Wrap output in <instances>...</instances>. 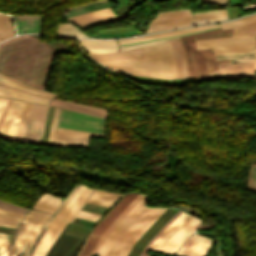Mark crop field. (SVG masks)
Listing matches in <instances>:
<instances>
[{
	"label": "crop field",
	"mask_w": 256,
	"mask_h": 256,
	"mask_svg": "<svg viewBox=\"0 0 256 256\" xmlns=\"http://www.w3.org/2000/svg\"><path fill=\"white\" fill-rule=\"evenodd\" d=\"M3 73L12 75L30 86L43 89L55 53L48 44L28 35L7 40Z\"/></svg>",
	"instance_id": "crop-field-1"
},
{
	"label": "crop field",
	"mask_w": 256,
	"mask_h": 256,
	"mask_svg": "<svg viewBox=\"0 0 256 256\" xmlns=\"http://www.w3.org/2000/svg\"><path fill=\"white\" fill-rule=\"evenodd\" d=\"M147 197L126 215L114 228L100 247L99 256H126L131 246L150 227V225L166 210L147 208L144 206Z\"/></svg>",
	"instance_id": "crop-field-2"
},
{
	"label": "crop field",
	"mask_w": 256,
	"mask_h": 256,
	"mask_svg": "<svg viewBox=\"0 0 256 256\" xmlns=\"http://www.w3.org/2000/svg\"><path fill=\"white\" fill-rule=\"evenodd\" d=\"M143 50L145 59L110 60L101 62L118 73L163 79L175 78V69L168 42L145 47Z\"/></svg>",
	"instance_id": "crop-field-3"
},
{
	"label": "crop field",
	"mask_w": 256,
	"mask_h": 256,
	"mask_svg": "<svg viewBox=\"0 0 256 256\" xmlns=\"http://www.w3.org/2000/svg\"><path fill=\"white\" fill-rule=\"evenodd\" d=\"M231 29L214 30L196 35L180 37L184 51L188 76L191 79H200L218 70L212 49L195 50L193 40L211 39L218 37L231 36Z\"/></svg>",
	"instance_id": "crop-field-4"
},
{
	"label": "crop field",
	"mask_w": 256,
	"mask_h": 256,
	"mask_svg": "<svg viewBox=\"0 0 256 256\" xmlns=\"http://www.w3.org/2000/svg\"><path fill=\"white\" fill-rule=\"evenodd\" d=\"M199 223V220L181 211L172 223L150 244L148 249L173 254Z\"/></svg>",
	"instance_id": "crop-field-5"
},
{
	"label": "crop field",
	"mask_w": 256,
	"mask_h": 256,
	"mask_svg": "<svg viewBox=\"0 0 256 256\" xmlns=\"http://www.w3.org/2000/svg\"><path fill=\"white\" fill-rule=\"evenodd\" d=\"M50 214L42 213L36 210H30L28 214L23 218L22 222L26 223L22 230L17 235L14 244L12 246L11 256H24L27 255L28 249L35 240L38 232L43 224L49 218Z\"/></svg>",
	"instance_id": "crop-field-6"
},
{
	"label": "crop field",
	"mask_w": 256,
	"mask_h": 256,
	"mask_svg": "<svg viewBox=\"0 0 256 256\" xmlns=\"http://www.w3.org/2000/svg\"><path fill=\"white\" fill-rule=\"evenodd\" d=\"M220 24L221 25L215 24V25H209V26L193 27V28H188V29H183V30H178V31L165 32V33L147 35V36L132 38V39H128V40H118V41H119V44H121V43L151 39V38H156V37L186 33V32L202 30V29L218 27V26H221L222 29L234 27L232 36H256V14L246 17V18L239 19V20H235V21H231V22H224V23H220Z\"/></svg>",
	"instance_id": "crop-field-7"
},
{
	"label": "crop field",
	"mask_w": 256,
	"mask_h": 256,
	"mask_svg": "<svg viewBox=\"0 0 256 256\" xmlns=\"http://www.w3.org/2000/svg\"><path fill=\"white\" fill-rule=\"evenodd\" d=\"M196 49L213 48L215 54L247 52L254 48V37H226L194 41Z\"/></svg>",
	"instance_id": "crop-field-8"
},
{
	"label": "crop field",
	"mask_w": 256,
	"mask_h": 256,
	"mask_svg": "<svg viewBox=\"0 0 256 256\" xmlns=\"http://www.w3.org/2000/svg\"><path fill=\"white\" fill-rule=\"evenodd\" d=\"M47 108L45 105L30 104L20 141L40 144Z\"/></svg>",
	"instance_id": "crop-field-9"
},
{
	"label": "crop field",
	"mask_w": 256,
	"mask_h": 256,
	"mask_svg": "<svg viewBox=\"0 0 256 256\" xmlns=\"http://www.w3.org/2000/svg\"><path fill=\"white\" fill-rule=\"evenodd\" d=\"M104 121L103 118L62 108L58 126L103 133Z\"/></svg>",
	"instance_id": "crop-field-10"
},
{
	"label": "crop field",
	"mask_w": 256,
	"mask_h": 256,
	"mask_svg": "<svg viewBox=\"0 0 256 256\" xmlns=\"http://www.w3.org/2000/svg\"><path fill=\"white\" fill-rule=\"evenodd\" d=\"M138 195V193H129L111 210V212L99 223L93 230L91 236L85 242L78 256H89L96 242L104 230L118 217L125 207Z\"/></svg>",
	"instance_id": "crop-field-11"
},
{
	"label": "crop field",
	"mask_w": 256,
	"mask_h": 256,
	"mask_svg": "<svg viewBox=\"0 0 256 256\" xmlns=\"http://www.w3.org/2000/svg\"><path fill=\"white\" fill-rule=\"evenodd\" d=\"M191 25L195 23L190 10L158 13L146 33Z\"/></svg>",
	"instance_id": "crop-field-12"
},
{
	"label": "crop field",
	"mask_w": 256,
	"mask_h": 256,
	"mask_svg": "<svg viewBox=\"0 0 256 256\" xmlns=\"http://www.w3.org/2000/svg\"><path fill=\"white\" fill-rule=\"evenodd\" d=\"M129 16V13L116 17L114 13L111 11L110 7L80 14L77 16H73L67 18L68 20L74 22L76 25L80 26L82 29H87L96 25L113 22L117 20H121Z\"/></svg>",
	"instance_id": "crop-field-13"
},
{
	"label": "crop field",
	"mask_w": 256,
	"mask_h": 256,
	"mask_svg": "<svg viewBox=\"0 0 256 256\" xmlns=\"http://www.w3.org/2000/svg\"><path fill=\"white\" fill-rule=\"evenodd\" d=\"M23 101L14 100L0 128V138L13 140L24 107Z\"/></svg>",
	"instance_id": "crop-field-14"
},
{
	"label": "crop field",
	"mask_w": 256,
	"mask_h": 256,
	"mask_svg": "<svg viewBox=\"0 0 256 256\" xmlns=\"http://www.w3.org/2000/svg\"><path fill=\"white\" fill-rule=\"evenodd\" d=\"M212 240L201 237L196 234H192L189 239L180 247L175 253L178 256H204Z\"/></svg>",
	"instance_id": "crop-field-15"
},
{
	"label": "crop field",
	"mask_w": 256,
	"mask_h": 256,
	"mask_svg": "<svg viewBox=\"0 0 256 256\" xmlns=\"http://www.w3.org/2000/svg\"><path fill=\"white\" fill-rule=\"evenodd\" d=\"M62 220L55 216L52 223L46 230L44 236L36 246L33 256H45L49 247L52 245V243L55 241V239L66 225V222Z\"/></svg>",
	"instance_id": "crop-field-16"
},
{
	"label": "crop field",
	"mask_w": 256,
	"mask_h": 256,
	"mask_svg": "<svg viewBox=\"0 0 256 256\" xmlns=\"http://www.w3.org/2000/svg\"><path fill=\"white\" fill-rule=\"evenodd\" d=\"M90 191V188L80 184L77 190L74 192V194L71 196V198L67 201V203L63 206V208L59 211L57 215L69 221V219L73 216L75 211L82 204Z\"/></svg>",
	"instance_id": "crop-field-17"
},
{
	"label": "crop field",
	"mask_w": 256,
	"mask_h": 256,
	"mask_svg": "<svg viewBox=\"0 0 256 256\" xmlns=\"http://www.w3.org/2000/svg\"><path fill=\"white\" fill-rule=\"evenodd\" d=\"M18 33L41 32L44 16L14 15Z\"/></svg>",
	"instance_id": "crop-field-18"
},
{
	"label": "crop field",
	"mask_w": 256,
	"mask_h": 256,
	"mask_svg": "<svg viewBox=\"0 0 256 256\" xmlns=\"http://www.w3.org/2000/svg\"><path fill=\"white\" fill-rule=\"evenodd\" d=\"M176 69V79L187 78V70L180 41L169 42Z\"/></svg>",
	"instance_id": "crop-field-19"
},
{
	"label": "crop field",
	"mask_w": 256,
	"mask_h": 256,
	"mask_svg": "<svg viewBox=\"0 0 256 256\" xmlns=\"http://www.w3.org/2000/svg\"><path fill=\"white\" fill-rule=\"evenodd\" d=\"M49 105L64 107V108H68L71 110H75V111H79V112H83V113H87V114H91V115H95V116H99V117H103V118L106 117V114L108 111L106 109H101V108L61 101V100H57V99L52 100Z\"/></svg>",
	"instance_id": "crop-field-20"
},
{
	"label": "crop field",
	"mask_w": 256,
	"mask_h": 256,
	"mask_svg": "<svg viewBox=\"0 0 256 256\" xmlns=\"http://www.w3.org/2000/svg\"><path fill=\"white\" fill-rule=\"evenodd\" d=\"M78 41L80 42L83 49L89 53L118 51L117 43L115 40H109V41L78 40Z\"/></svg>",
	"instance_id": "crop-field-21"
},
{
	"label": "crop field",
	"mask_w": 256,
	"mask_h": 256,
	"mask_svg": "<svg viewBox=\"0 0 256 256\" xmlns=\"http://www.w3.org/2000/svg\"><path fill=\"white\" fill-rule=\"evenodd\" d=\"M97 60L144 58L142 48L108 53L89 54Z\"/></svg>",
	"instance_id": "crop-field-22"
},
{
	"label": "crop field",
	"mask_w": 256,
	"mask_h": 256,
	"mask_svg": "<svg viewBox=\"0 0 256 256\" xmlns=\"http://www.w3.org/2000/svg\"><path fill=\"white\" fill-rule=\"evenodd\" d=\"M0 96L18 98V99L38 102V103H42V104L49 103V99L43 98L41 96L25 93L23 91L6 88V87H2V86H0Z\"/></svg>",
	"instance_id": "crop-field-23"
},
{
	"label": "crop field",
	"mask_w": 256,
	"mask_h": 256,
	"mask_svg": "<svg viewBox=\"0 0 256 256\" xmlns=\"http://www.w3.org/2000/svg\"><path fill=\"white\" fill-rule=\"evenodd\" d=\"M89 138L55 134L54 145L88 148Z\"/></svg>",
	"instance_id": "crop-field-24"
},
{
	"label": "crop field",
	"mask_w": 256,
	"mask_h": 256,
	"mask_svg": "<svg viewBox=\"0 0 256 256\" xmlns=\"http://www.w3.org/2000/svg\"><path fill=\"white\" fill-rule=\"evenodd\" d=\"M120 196L121 194L95 190L87 202L110 207Z\"/></svg>",
	"instance_id": "crop-field-25"
},
{
	"label": "crop field",
	"mask_w": 256,
	"mask_h": 256,
	"mask_svg": "<svg viewBox=\"0 0 256 256\" xmlns=\"http://www.w3.org/2000/svg\"><path fill=\"white\" fill-rule=\"evenodd\" d=\"M197 24L226 20L225 10H212L193 14Z\"/></svg>",
	"instance_id": "crop-field-26"
},
{
	"label": "crop field",
	"mask_w": 256,
	"mask_h": 256,
	"mask_svg": "<svg viewBox=\"0 0 256 256\" xmlns=\"http://www.w3.org/2000/svg\"><path fill=\"white\" fill-rule=\"evenodd\" d=\"M61 201V198L44 193L38 201L34 204L33 208L48 211L53 213L56 206Z\"/></svg>",
	"instance_id": "crop-field-27"
},
{
	"label": "crop field",
	"mask_w": 256,
	"mask_h": 256,
	"mask_svg": "<svg viewBox=\"0 0 256 256\" xmlns=\"http://www.w3.org/2000/svg\"><path fill=\"white\" fill-rule=\"evenodd\" d=\"M143 197V195L139 194L132 203L121 213V215L111 224V226L105 231V233L101 236L100 240L98 241L97 245L93 249L92 253L96 254L97 250L99 249L101 243L104 241L106 236L113 230V228L125 217V215L137 204V202ZM91 254L90 256H93Z\"/></svg>",
	"instance_id": "crop-field-28"
},
{
	"label": "crop field",
	"mask_w": 256,
	"mask_h": 256,
	"mask_svg": "<svg viewBox=\"0 0 256 256\" xmlns=\"http://www.w3.org/2000/svg\"><path fill=\"white\" fill-rule=\"evenodd\" d=\"M11 36H13L11 17L5 14H0V42Z\"/></svg>",
	"instance_id": "crop-field-29"
},
{
	"label": "crop field",
	"mask_w": 256,
	"mask_h": 256,
	"mask_svg": "<svg viewBox=\"0 0 256 256\" xmlns=\"http://www.w3.org/2000/svg\"><path fill=\"white\" fill-rule=\"evenodd\" d=\"M23 218V215H19L13 212L0 209V225L15 227L17 223Z\"/></svg>",
	"instance_id": "crop-field-30"
},
{
	"label": "crop field",
	"mask_w": 256,
	"mask_h": 256,
	"mask_svg": "<svg viewBox=\"0 0 256 256\" xmlns=\"http://www.w3.org/2000/svg\"><path fill=\"white\" fill-rule=\"evenodd\" d=\"M56 35L87 37L70 24H57Z\"/></svg>",
	"instance_id": "crop-field-31"
},
{
	"label": "crop field",
	"mask_w": 256,
	"mask_h": 256,
	"mask_svg": "<svg viewBox=\"0 0 256 256\" xmlns=\"http://www.w3.org/2000/svg\"><path fill=\"white\" fill-rule=\"evenodd\" d=\"M56 133L78 135V136H93V137H99V138H101L102 135H103V134H100V133L80 131V130L63 129V128H59V127L57 128Z\"/></svg>",
	"instance_id": "crop-field-32"
},
{
	"label": "crop field",
	"mask_w": 256,
	"mask_h": 256,
	"mask_svg": "<svg viewBox=\"0 0 256 256\" xmlns=\"http://www.w3.org/2000/svg\"><path fill=\"white\" fill-rule=\"evenodd\" d=\"M29 104L30 103H28V102L25 103V107H24L22 117H21V120H20V123H19V126H18V130H17V133H16V136H15L14 140H17V141L20 140V136H21L22 129H23V126H24V122H25V119H26V115H27V112H28Z\"/></svg>",
	"instance_id": "crop-field-33"
},
{
	"label": "crop field",
	"mask_w": 256,
	"mask_h": 256,
	"mask_svg": "<svg viewBox=\"0 0 256 256\" xmlns=\"http://www.w3.org/2000/svg\"><path fill=\"white\" fill-rule=\"evenodd\" d=\"M0 208L8 209V210H11V211H14V212L23 214V215H25L26 212L28 211V210L25 209V208L18 207V206L9 204V203L4 202V201H1V200H0Z\"/></svg>",
	"instance_id": "crop-field-34"
},
{
	"label": "crop field",
	"mask_w": 256,
	"mask_h": 256,
	"mask_svg": "<svg viewBox=\"0 0 256 256\" xmlns=\"http://www.w3.org/2000/svg\"><path fill=\"white\" fill-rule=\"evenodd\" d=\"M246 188L256 191V165L255 164H252Z\"/></svg>",
	"instance_id": "crop-field-35"
},
{
	"label": "crop field",
	"mask_w": 256,
	"mask_h": 256,
	"mask_svg": "<svg viewBox=\"0 0 256 256\" xmlns=\"http://www.w3.org/2000/svg\"><path fill=\"white\" fill-rule=\"evenodd\" d=\"M0 83H1V84H5V85H8V86L15 87V88H18V89H22V90H25V91H28V92L40 94V93H38V92H36V91L30 89V88L24 87V86H22V85H19V84H17V83H14V82L9 81V80H7V79H5V78H2V77H0ZM40 95H42V94H40ZM44 96H45V95H44ZM47 97H49V96H47ZM50 98H52V97H50Z\"/></svg>",
	"instance_id": "crop-field-36"
},
{
	"label": "crop field",
	"mask_w": 256,
	"mask_h": 256,
	"mask_svg": "<svg viewBox=\"0 0 256 256\" xmlns=\"http://www.w3.org/2000/svg\"><path fill=\"white\" fill-rule=\"evenodd\" d=\"M100 216H101L100 214H95V213H90V212L80 210V212L77 214L76 217L96 222Z\"/></svg>",
	"instance_id": "crop-field-37"
},
{
	"label": "crop field",
	"mask_w": 256,
	"mask_h": 256,
	"mask_svg": "<svg viewBox=\"0 0 256 256\" xmlns=\"http://www.w3.org/2000/svg\"><path fill=\"white\" fill-rule=\"evenodd\" d=\"M218 28H220V27H218ZM214 29H217V28H214ZM208 30H210V29H208ZM203 31H205V30H203ZM197 32H201V31H197ZM192 33H196V32H192ZM186 34H191V33H186ZM186 34H180V35H175V36H169V37H163V38H157V39H151V40H145V41L127 43V44H121V45H119V46L122 47V46H128V45H134V44H140V43H146V42H152V41H157V40L172 38V37L181 36V35H186Z\"/></svg>",
	"instance_id": "crop-field-38"
},
{
	"label": "crop field",
	"mask_w": 256,
	"mask_h": 256,
	"mask_svg": "<svg viewBox=\"0 0 256 256\" xmlns=\"http://www.w3.org/2000/svg\"><path fill=\"white\" fill-rule=\"evenodd\" d=\"M177 39H179V37L172 38V39H167V40H162V41H157V42H152V43H146V44H140V45H135V46L123 47V48H120V51L125 50V49H131V48L144 47V46H148V45H154V44H158V43H162V42H166V41H173V40H177Z\"/></svg>",
	"instance_id": "crop-field-39"
},
{
	"label": "crop field",
	"mask_w": 256,
	"mask_h": 256,
	"mask_svg": "<svg viewBox=\"0 0 256 256\" xmlns=\"http://www.w3.org/2000/svg\"><path fill=\"white\" fill-rule=\"evenodd\" d=\"M0 76L6 77V78H8V79H10V80H12V81H14V82H17V83H19V84H22V85H24V86H27V85H25L24 83H22L21 81H19L18 79L9 77V76L4 75V74H0ZM27 87H29V86H27ZM30 88H32V89H34V90H36V91H38V92H40V93H42V94H45V95H49V96H52V97H55V96H56V95L51 94V93L46 92V91H42V90H39V89H36V88H33V87H30Z\"/></svg>",
	"instance_id": "crop-field-40"
},
{
	"label": "crop field",
	"mask_w": 256,
	"mask_h": 256,
	"mask_svg": "<svg viewBox=\"0 0 256 256\" xmlns=\"http://www.w3.org/2000/svg\"><path fill=\"white\" fill-rule=\"evenodd\" d=\"M78 187V184L74 186V188L67 194V196L63 199V201L59 204V206L55 209L53 214H57V212L62 208V206L66 203V201L69 199V197L72 195V193L76 190Z\"/></svg>",
	"instance_id": "crop-field-41"
},
{
	"label": "crop field",
	"mask_w": 256,
	"mask_h": 256,
	"mask_svg": "<svg viewBox=\"0 0 256 256\" xmlns=\"http://www.w3.org/2000/svg\"><path fill=\"white\" fill-rule=\"evenodd\" d=\"M252 51H255V55L254 57H250V58H238L236 59L234 62H254L255 65V69H256V48Z\"/></svg>",
	"instance_id": "crop-field-42"
},
{
	"label": "crop field",
	"mask_w": 256,
	"mask_h": 256,
	"mask_svg": "<svg viewBox=\"0 0 256 256\" xmlns=\"http://www.w3.org/2000/svg\"><path fill=\"white\" fill-rule=\"evenodd\" d=\"M7 47L0 45V71H2Z\"/></svg>",
	"instance_id": "crop-field-43"
},
{
	"label": "crop field",
	"mask_w": 256,
	"mask_h": 256,
	"mask_svg": "<svg viewBox=\"0 0 256 256\" xmlns=\"http://www.w3.org/2000/svg\"><path fill=\"white\" fill-rule=\"evenodd\" d=\"M45 230L41 229L37 239L35 240V242L33 243L32 247L30 248L29 252H28V256H32L33 250L36 246V244L39 242L40 238L42 237V235L44 234Z\"/></svg>",
	"instance_id": "crop-field-44"
},
{
	"label": "crop field",
	"mask_w": 256,
	"mask_h": 256,
	"mask_svg": "<svg viewBox=\"0 0 256 256\" xmlns=\"http://www.w3.org/2000/svg\"><path fill=\"white\" fill-rule=\"evenodd\" d=\"M12 101L13 100L9 99L8 103L6 104V106L4 107V109H3V111H2V113L0 115V126H1V124H2V122L4 120V118H5V115H6L7 111H8V109H9Z\"/></svg>",
	"instance_id": "crop-field-45"
},
{
	"label": "crop field",
	"mask_w": 256,
	"mask_h": 256,
	"mask_svg": "<svg viewBox=\"0 0 256 256\" xmlns=\"http://www.w3.org/2000/svg\"><path fill=\"white\" fill-rule=\"evenodd\" d=\"M23 223H20V225L18 226V228L16 229V231H15V233L13 234V236H12V238H11V240H10V245H9V247H8V256H10V250H11V246H12V244H13V241H14V239H15V237H16V235H17V233L20 231V229L23 227Z\"/></svg>",
	"instance_id": "crop-field-46"
},
{
	"label": "crop field",
	"mask_w": 256,
	"mask_h": 256,
	"mask_svg": "<svg viewBox=\"0 0 256 256\" xmlns=\"http://www.w3.org/2000/svg\"><path fill=\"white\" fill-rule=\"evenodd\" d=\"M245 53H239V54H223V55H215L216 58H226V57H239Z\"/></svg>",
	"instance_id": "crop-field-47"
},
{
	"label": "crop field",
	"mask_w": 256,
	"mask_h": 256,
	"mask_svg": "<svg viewBox=\"0 0 256 256\" xmlns=\"http://www.w3.org/2000/svg\"><path fill=\"white\" fill-rule=\"evenodd\" d=\"M202 3L227 4V0H202Z\"/></svg>",
	"instance_id": "crop-field-48"
},
{
	"label": "crop field",
	"mask_w": 256,
	"mask_h": 256,
	"mask_svg": "<svg viewBox=\"0 0 256 256\" xmlns=\"http://www.w3.org/2000/svg\"><path fill=\"white\" fill-rule=\"evenodd\" d=\"M235 58H227V59H216L217 64H224V63H229L232 60H234Z\"/></svg>",
	"instance_id": "crop-field-49"
},
{
	"label": "crop field",
	"mask_w": 256,
	"mask_h": 256,
	"mask_svg": "<svg viewBox=\"0 0 256 256\" xmlns=\"http://www.w3.org/2000/svg\"><path fill=\"white\" fill-rule=\"evenodd\" d=\"M9 237H10L9 234L0 233V241L8 242Z\"/></svg>",
	"instance_id": "crop-field-50"
},
{
	"label": "crop field",
	"mask_w": 256,
	"mask_h": 256,
	"mask_svg": "<svg viewBox=\"0 0 256 256\" xmlns=\"http://www.w3.org/2000/svg\"><path fill=\"white\" fill-rule=\"evenodd\" d=\"M94 192V189H92V191L90 192V194L88 195V197L86 198V200L83 202V204L80 206V208L76 211L75 215L78 213V211L82 208V206L84 205V203L87 201V199L91 196V194ZM75 215L70 219V222L72 221V219L75 217Z\"/></svg>",
	"instance_id": "crop-field-51"
},
{
	"label": "crop field",
	"mask_w": 256,
	"mask_h": 256,
	"mask_svg": "<svg viewBox=\"0 0 256 256\" xmlns=\"http://www.w3.org/2000/svg\"><path fill=\"white\" fill-rule=\"evenodd\" d=\"M6 101H7L6 98H2V97L0 98V113L5 105Z\"/></svg>",
	"instance_id": "crop-field-52"
},
{
	"label": "crop field",
	"mask_w": 256,
	"mask_h": 256,
	"mask_svg": "<svg viewBox=\"0 0 256 256\" xmlns=\"http://www.w3.org/2000/svg\"><path fill=\"white\" fill-rule=\"evenodd\" d=\"M210 78H219V73H218V71L217 72H215V73H213V74H211V75H209L207 78H205V79H210Z\"/></svg>",
	"instance_id": "crop-field-53"
},
{
	"label": "crop field",
	"mask_w": 256,
	"mask_h": 256,
	"mask_svg": "<svg viewBox=\"0 0 256 256\" xmlns=\"http://www.w3.org/2000/svg\"><path fill=\"white\" fill-rule=\"evenodd\" d=\"M8 243L0 242V253L7 247Z\"/></svg>",
	"instance_id": "crop-field-54"
},
{
	"label": "crop field",
	"mask_w": 256,
	"mask_h": 256,
	"mask_svg": "<svg viewBox=\"0 0 256 256\" xmlns=\"http://www.w3.org/2000/svg\"><path fill=\"white\" fill-rule=\"evenodd\" d=\"M54 218L53 215H51V217L48 219V221L46 222V224L43 226V228L47 229V227L49 226L50 222L52 221V219Z\"/></svg>",
	"instance_id": "crop-field-55"
},
{
	"label": "crop field",
	"mask_w": 256,
	"mask_h": 256,
	"mask_svg": "<svg viewBox=\"0 0 256 256\" xmlns=\"http://www.w3.org/2000/svg\"><path fill=\"white\" fill-rule=\"evenodd\" d=\"M253 54H254V52H252V53H247V54H245V55H243V56H241V57H249V56H253Z\"/></svg>",
	"instance_id": "crop-field-56"
},
{
	"label": "crop field",
	"mask_w": 256,
	"mask_h": 256,
	"mask_svg": "<svg viewBox=\"0 0 256 256\" xmlns=\"http://www.w3.org/2000/svg\"><path fill=\"white\" fill-rule=\"evenodd\" d=\"M0 256H7V250L4 253L0 254Z\"/></svg>",
	"instance_id": "crop-field-57"
},
{
	"label": "crop field",
	"mask_w": 256,
	"mask_h": 256,
	"mask_svg": "<svg viewBox=\"0 0 256 256\" xmlns=\"http://www.w3.org/2000/svg\"><path fill=\"white\" fill-rule=\"evenodd\" d=\"M255 47H256V37H255Z\"/></svg>",
	"instance_id": "crop-field-58"
}]
</instances>
